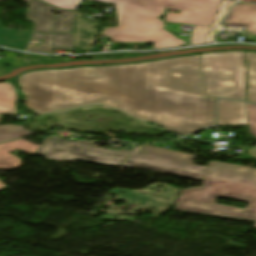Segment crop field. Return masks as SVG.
I'll return each mask as SVG.
<instances>
[{
  "label": "crop field",
  "instance_id": "12",
  "mask_svg": "<svg viewBox=\"0 0 256 256\" xmlns=\"http://www.w3.org/2000/svg\"><path fill=\"white\" fill-rule=\"evenodd\" d=\"M249 70L248 99L256 103V52L246 51Z\"/></svg>",
  "mask_w": 256,
  "mask_h": 256
},
{
  "label": "crop field",
  "instance_id": "2",
  "mask_svg": "<svg viewBox=\"0 0 256 256\" xmlns=\"http://www.w3.org/2000/svg\"><path fill=\"white\" fill-rule=\"evenodd\" d=\"M59 8L76 10L81 0H43ZM116 4L119 26L106 28L105 35L116 42H154V48L185 44L164 29L159 17L165 7L180 10L167 13L166 20L211 26L221 0H99Z\"/></svg>",
  "mask_w": 256,
  "mask_h": 256
},
{
  "label": "crop field",
  "instance_id": "19",
  "mask_svg": "<svg viewBox=\"0 0 256 256\" xmlns=\"http://www.w3.org/2000/svg\"><path fill=\"white\" fill-rule=\"evenodd\" d=\"M30 35L7 37L13 48L26 50Z\"/></svg>",
  "mask_w": 256,
  "mask_h": 256
},
{
  "label": "crop field",
  "instance_id": "5",
  "mask_svg": "<svg viewBox=\"0 0 256 256\" xmlns=\"http://www.w3.org/2000/svg\"><path fill=\"white\" fill-rule=\"evenodd\" d=\"M96 142L97 140L70 141L51 135L45 138L38 154L53 160H86L99 164L119 166L134 152L92 147Z\"/></svg>",
  "mask_w": 256,
  "mask_h": 256
},
{
  "label": "crop field",
  "instance_id": "14",
  "mask_svg": "<svg viewBox=\"0 0 256 256\" xmlns=\"http://www.w3.org/2000/svg\"><path fill=\"white\" fill-rule=\"evenodd\" d=\"M74 11L63 10L61 16H56L53 31L56 33L70 32Z\"/></svg>",
  "mask_w": 256,
  "mask_h": 256
},
{
  "label": "crop field",
  "instance_id": "16",
  "mask_svg": "<svg viewBox=\"0 0 256 256\" xmlns=\"http://www.w3.org/2000/svg\"><path fill=\"white\" fill-rule=\"evenodd\" d=\"M30 38L44 39V41H43V44L41 47L29 46L28 50L41 51V52H52L53 51L51 34H32Z\"/></svg>",
  "mask_w": 256,
  "mask_h": 256
},
{
  "label": "crop field",
  "instance_id": "29",
  "mask_svg": "<svg viewBox=\"0 0 256 256\" xmlns=\"http://www.w3.org/2000/svg\"><path fill=\"white\" fill-rule=\"evenodd\" d=\"M42 1V0H41Z\"/></svg>",
  "mask_w": 256,
  "mask_h": 256
},
{
  "label": "crop field",
  "instance_id": "13",
  "mask_svg": "<svg viewBox=\"0 0 256 256\" xmlns=\"http://www.w3.org/2000/svg\"><path fill=\"white\" fill-rule=\"evenodd\" d=\"M35 134L24 129V126L12 124L0 126V142Z\"/></svg>",
  "mask_w": 256,
  "mask_h": 256
},
{
  "label": "crop field",
  "instance_id": "6",
  "mask_svg": "<svg viewBox=\"0 0 256 256\" xmlns=\"http://www.w3.org/2000/svg\"><path fill=\"white\" fill-rule=\"evenodd\" d=\"M143 152H146V154ZM193 157V155L168 151L164 148L144 146L123 166L154 169L201 181L207 167L193 164Z\"/></svg>",
  "mask_w": 256,
  "mask_h": 256
},
{
  "label": "crop field",
  "instance_id": "7",
  "mask_svg": "<svg viewBox=\"0 0 256 256\" xmlns=\"http://www.w3.org/2000/svg\"><path fill=\"white\" fill-rule=\"evenodd\" d=\"M39 145L23 139L0 145V169H13L21 165V159L10 154L19 149L29 154L36 153ZM6 185L0 181V189Z\"/></svg>",
  "mask_w": 256,
  "mask_h": 256
},
{
  "label": "crop field",
  "instance_id": "17",
  "mask_svg": "<svg viewBox=\"0 0 256 256\" xmlns=\"http://www.w3.org/2000/svg\"><path fill=\"white\" fill-rule=\"evenodd\" d=\"M210 30V27H197L194 26L191 44H203L206 36Z\"/></svg>",
  "mask_w": 256,
  "mask_h": 256
},
{
  "label": "crop field",
  "instance_id": "1",
  "mask_svg": "<svg viewBox=\"0 0 256 256\" xmlns=\"http://www.w3.org/2000/svg\"><path fill=\"white\" fill-rule=\"evenodd\" d=\"M35 113L99 103L186 135L215 125L200 55L155 62L31 71L17 78Z\"/></svg>",
  "mask_w": 256,
  "mask_h": 256
},
{
  "label": "crop field",
  "instance_id": "26",
  "mask_svg": "<svg viewBox=\"0 0 256 256\" xmlns=\"http://www.w3.org/2000/svg\"><path fill=\"white\" fill-rule=\"evenodd\" d=\"M22 60H24L27 64H29L30 62H28L27 60H25L24 58L20 57Z\"/></svg>",
  "mask_w": 256,
  "mask_h": 256
},
{
  "label": "crop field",
  "instance_id": "22",
  "mask_svg": "<svg viewBox=\"0 0 256 256\" xmlns=\"http://www.w3.org/2000/svg\"><path fill=\"white\" fill-rule=\"evenodd\" d=\"M2 28L0 26V45L7 46V47H11V46L9 45L8 41L6 40V38L4 36L32 33V31L20 32V31L6 30V29H2Z\"/></svg>",
  "mask_w": 256,
  "mask_h": 256
},
{
  "label": "crop field",
  "instance_id": "8",
  "mask_svg": "<svg viewBox=\"0 0 256 256\" xmlns=\"http://www.w3.org/2000/svg\"><path fill=\"white\" fill-rule=\"evenodd\" d=\"M219 125H247L244 102L218 100Z\"/></svg>",
  "mask_w": 256,
  "mask_h": 256
},
{
  "label": "crop field",
  "instance_id": "20",
  "mask_svg": "<svg viewBox=\"0 0 256 256\" xmlns=\"http://www.w3.org/2000/svg\"><path fill=\"white\" fill-rule=\"evenodd\" d=\"M234 1L230 0H222V3L220 5L219 11L217 13V16L215 18V21L213 23V26H218L220 20L223 18V16L229 11Z\"/></svg>",
  "mask_w": 256,
  "mask_h": 256
},
{
  "label": "crop field",
  "instance_id": "11",
  "mask_svg": "<svg viewBox=\"0 0 256 256\" xmlns=\"http://www.w3.org/2000/svg\"><path fill=\"white\" fill-rule=\"evenodd\" d=\"M16 90L12 83L0 84V113L16 114Z\"/></svg>",
  "mask_w": 256,
  "mask_h": 256
},
{
  "label": "crop field",
  "instance_id": "27",
  "mask_svg": "<svg viewBox=\"0 0 256 256\" xmlns=\"http://www.w3.org/2000/svg\"><path fill=\"white\" fill-rule=\"evenodd\" d=\"M23 1H27V2H30L31 0H23Z\"/></svg>",
  "mask_w": 256,
  "mask_h": 256
},
{
  "label": "crop field",
  "instance_id": "18",
  "mask_svg": "<svg viewBox=\"0 0 256 256\" xmlns=\"http://www.w3.org/2000/svg\"><path fill=\"white\" fill-rule=\"evenodd\" d=\"M4 63H10L12 67L26 64L19 57L15 56V53H3V60H0V75L7 73L1 70V65Z\"/></svg>",
  "mask_w": 256,
  "mask_h": 256
},
{
  "label": "crop field",
  "instance_id": "15",
  "mask_svg": "<svg viewBox=\"0 0 256 256\" xmlns=\"http://www.w3.org/2000/svg\"><path fill=\"white\" fill-rule=\"evenodd\" d=\"M54 48L74 50L72 34H52Z\"/></svg>",
  "mask_w": 256,
  "mask_h": 256
},
{
  "label": "crop field",
  "instance_id": "4",
  "mask_svg": "<svg viewBox=\"0 0 256 256\" xmlns=\"http://www.w3.org/2000/svg\"><path fill=\"white\" fill-rule=\"evenodd\" d=\"M207 96L245 101L247 73L243 51L201 54Z\"/></svg>",
  "mask_w": 256,
  "mask_h": 256
},
{
  "label": "crop field",
  "instance_id": "21",
  "mask_svg": "<svg viewBox=\"0 0 256 256\" xmlns=\"http://www.w3.org/2000/svg\"><path fill=\"white\" fill-rule=\"evenodd\" d=\"M249 128L253 135L256 136V105L247 103Z\"/></svg>",
  "mask_w": 256,
  "mask_h": 256
},
{
  "label": "crop field",
  "instance_id": "9",
  "mask_svg": "<svg viewBox=\"0 0 256 256\" xmlns=\"http://www.w3.org/2000/svg\"><path fill=\"white\" fill-rule=\"evenodd\" d=\"M52 9L59 10L44 2L31 1L26 17L36 23L34 32H51L55 18L50 14Z\"/></svg>",
  "mask_w": 256,
  "mask_h": 256
},
{
  "label": "crop field",
  "instance_id": "23",
  "mask_svg": "<svg viewBox=\"0 0 256 256\" xmlns=\"http://www.w3.org/2000/svg\"><path fill=\"white\" fill-rule=\"evenodd\" d=\"M24 56V55H22ZM31 60L33 63H47V62H58L57 59H52V58H46V57H40V56H34V55H29V56H24Z\"/></svg>",
  "mask_w": 256,
  "mask_h": 256
},
{
  "label": "crop field",
  "instance_id": "10",
  "mask_svg": "<svg viewBox=\"0 0 256 256\" xmlns=\"http://www.w3.org/2000/svg\"><path fill=\"white\" fill-rule=\"evenodd\" d=\"M223 24L245 25L247 32L256 34V5H235Z\"/></svg>",
  "mask_w": 256,
  "mask_h": 256
},
{
  "label": "crop field",
  "instance_id": "28",
  "mask_svg": "<svg viewBox=\"0 0 256 256\" xmlns=\"http://www.w3.org/2000/svg\"><path fill=\"white\" fill-rule=\"evenodd\" d=\"M0 120H1V117H0Z\"/></svg>",
  "mask_w": 256,
  "mask_h": 256
},
{
  "label": "crop field",
  "instance_id": "3",
  "mask_svg": "<svg viewBox=\"0 0 256 256\" xmlns=\"http://www.w3.org/2000/svg\"><path fill=\"white\" fill-rule=\"evenodd\" d=\"M218 197L250 204L246 209L224 206L215 202ZM174 211L251 221L256 227V169L210 162L203 185L182 190Z\"/></svg>",
  "mask_w": 256,
  "mask_h": 256
},
{
  "label": "crop field",
  "instance_id": "25",
  "mask_svg": "<svg viewBox=\"0 0 256 256\" xmlns=\"http://www.w3.org/2000/svg\"><path fill=\"white\" fill-rule=\"evenodd\" d=\"M250 155H252L254 158H256V147L249 150Z\"/></svg>",
  "mask_w": 256,
  "mask_h": 256
},
{
  "label": "crop field",
  "instance_id": "24",
  "mask_svg": "<svg viewBox=\"0 0 256 256\" xmlns=\"http://www.w3.org/2000/svg\"><path fill=\"white\" fill-rule=\"evenodd\" d=\"M214 30H215V28H211V30H210V32H209V34L207 36V39H206L204 44L212 43L213 42Z\"/></svg>",
  "mask_w": 256,
  "mask_h": 256
}]
</instances>
